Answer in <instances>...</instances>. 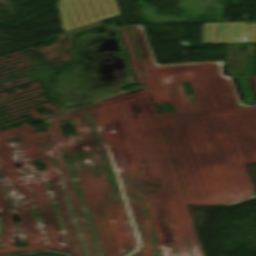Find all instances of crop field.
<instances>
[{"mask_svg": "<svg viewBox=\"0 0 256 256\" xmlns=\"http://www.w3.org/2000/svg\"><path fill=\"white\" fill-rule=\"evenodd\" d=\"M256 42V23H204L202 43Z\"/></svg>", "mask_w": 256, "mask_h": 256, "instance_id": "ac0d7876", "label": "crop field"}, {"mask_svg": "<svg viewBox=\"0 0 256 256\" xmlns=\"http://www.w3.org/2000/svg\"><path fill=\"white\" fill-rule=\"evenodd\" d=\"M253 78V81H254V84H255V87H256V75L252 76Z\"/></svg>", "mask_w": 256, "mask_h": 256, "instance_id": "34b2d1b8", "label": "crop field"}, {"mask_svg": "<svg viewBox=\"0 0 256 256\" xmlns=\"http://www.w3.org/2000/svg\"><path fill=\"white\" fill-rule=\"evenodd\" d=\"M58 8L66 31L121 14L116 0H59Z\"/></svg>", "mask_w": 256, "mask_h": 256, "instance_id": "8a807250", "label": "crop field"}]
</instances>
